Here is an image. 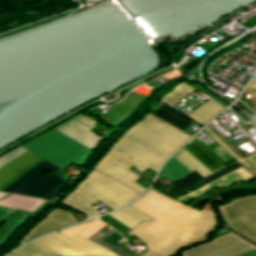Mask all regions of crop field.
<instances>
[{
    "label": "crop field",
    "mask_w": 256,
    "mask_h": 256,
    "mask_svg": "<svg viewBox=\"0 0 256 256\" xmlns=\"http://www.w3.org/2000/svg\"><path fill=\"white\" fill-rule=\"evenodd\" d=\"M191 137L149 114L123 134L94 169L141 195L146 189L134 184L138 177L128 168L133 165L142 172L148 167L157 172L163 162Z\"/></svg>",
    "instance_id": "crop-field-1"
},
{
    "label": "crop field",
    "mask_w": 256,
    "mask_h": 256,
    "mask_svg": "<svg viewBox=\"0 0 256 256\" xmlns=\"http://www.w3.org/2000/svg\"><path fill=\"white\" fill-rule=\"evenodd\" d=\"M131 205L153 219L127 232L146 245L148 251L138 256H170L200 239L215 224L212 213L185 206L153 190Z\"/></svg>",
    "instance_id": "crop-field-2"
},
{
    "label": "crop field",
    "mask_w": 256,
    "mask_h": 256,
    "mask_svg": "<svg viewBox=\"0 0 256 256\" xmlns=\"http://www.w3.org/2000/svg\"><path fill=\"white\" fill-rule=\"evenodd\" d=\"M43 161L44 160L27 151L2 167L0 169V191L38 166ZM47 170L59 171L61 169L45 161L24 175L22 178L8 186L2 192H10L40 198L53 197L58 194L67 183L54 174L49 178L46 177L42 173Z\"/></svg>",
    "instance_id": "crop-field-3"
},
{
    "label": "crop field",
    "mask_w": 256,
    "mask_h": 256,
    "mask_svg": "<svg viewBox=\"0 0 256 256\" xmlns=\"http://www.w3.org/2000/svg\"><path fill=\"white\" fill-rule=\"evenodd\" d=\"M140 195L94 170L62 203L82 211L88 218L99 215L89 206L99 200L113 210L130 203Z\"/></svg>",
    "instance_id": "crop-field-4"
},
{
    "label": "crop field",
    "mask_w": 256,
    "mask_h": 256,
    "mask_svg": "<svg viewBox=\"0 0 256 256\" xmlns=\"http://www.w3.org/2000/svg\"><path fill=\"white\" fill-rule=\"evenodd\" d=\"M22 147L61 169L70 162L82 166L91 154L89 149L54 130Z\"/></svg>",
    "instance_id": "crop-field-5"
},
{
    "label": "crop field",
    "mask_w": 256,
    "mask_h": 256,
    "mask_svg": "<svg viewBox=\"0 0 256 256\" xmlns=\"http://www.w3.org/2000/svg\"><path fill=\"white\" fill-rule=\"evenodd\" d=\"M184 148L187 149L191 154H193L213 172L218 171L223 167L235 162V160L232 158L222 163L196 139L193 140L189 145H186ZM185 149L174 157V160L176 162H178L190 172L195 170L203 178L213 173ZM172 159L169 160L167 164L163 167L160 173L161 176L169 179L170 181H173L180 179L179 176L183 177L184 175L190 173Z\"/></svg>",
    "instance_id": "crop-field-6"
},
{
    "label": "crop field",
    "mask_w": 256,
    "mask_h": 256,
    "mask_svg": "<svg viewBox=\"0 0 256 256\" xmlns=\"http://www.w3.org/2000/svg\"><path fill=\"white\" fill-rule=\"evenodd\" d=\"M31 244L58 256H117L111 251L77 235L69 240L54 233Z\"/></svg>",
    "instance_id": "crop-field-7"
},
{
    "label": "crop field",
    "mask_w": 256,
    "mask_h": 256,
    "mask_svg": "<svg viewBox=\"0 0 256 256\" xmlns=\"http://www.w3.org/2000/svg\"><path fill=\"white\" fill-rule=\"evenodd\" d=\"M74 223H76V221L72 218L70 213L62 210H53L44 220L35 226L29 234L26 235L20 244L23 245L48 232Z\"/></svg>",
    "instance_id": "crop-field-8"
},
{
    "label": "crop field",
    "mask_w": 256,
    "mask_h": 256,
    "mask_svg": "<svg viewBox=\"0 0 256 256\" xmlns=\"http://www.w3.org/2000/svg\"><path fill=\"white\" fill-rule=\"evenodd\" d=\"M54 129L91 150L103 139L73 118Z\"/></svg>",
    "instance_id": "crop-field-9"
},
{
    "label": "crop field",
    "mask_w": 256,
    "mask_h": 256,
    "mask_svg": "<svg viewBox=\"0 0 256 256\" xmlns=\"http://www.w3.org/2000/svg\"><path fill=\"white\" fill-rule=\"evenodd\" d=\"M223 109V107L208 99L186 116L205 125L210 119H212Z\"/></svg>",
    "instance_id": "crop-field-10"
},
{
    "label": "crop field",
    "mask_w": 256,
    "mask_h": 256,
    "mask_svg": "<svg viewBox=\"0 0 256 256\" xmlns=\"http://www.w3.org/2000/svg\"><path fill=\"white\" fill-rule=\"evenodd\" d=\"M97 219L89 222V223H85V224H81V225H78L74 228H71V229H67V230H64V231H61L59 232L60 234L68 237V238H72L73 236H75L77 233L85 230L87 227H89L92 223H94ZM106 224H104L103 222L101 221H97L95 222L93 225H91L89 228H87L85 231L77 234L83 238H88L89 236H91L92 234H94L95 232H97L98 230H100L102 227H104Z\"/></svg>",
    "instance_id": "crop-field-11"
},
{
    "label": "crop field",
    "mask_w": 256,
    "mask_h": 256,
    "mask_svg": "<svg viewBox=\"0 0 256 256\" xmlns=\"http://www.w3.org/2000/svg\"><path fill=\"white\" fill-rule=\"evenodd\" d=\"M191 87V86H190ZM189 86L181 83L177 87H175L174 91L167 96H165L161 102L165 103L169 107L175 106L179 101H181L184 97L195 91Z\"/></svg>",
    "instance_id": "crop-field-12"
},
{
    "label": "crop field",
    "mask_w": 256,
    "mask_h": 256,
    "mask_svg": "<svg viewBox=\"0 0 256 256\" xmlns=\"http://www.w3.org/2000/svg\"><path fill=\"white\" fill-rule=\"evenodd\" d=\"M200 180H202L201 176L195 172H192L188 176H186L178 181H173L172 183H173L174 189L167 192V194L169 196H171V195L199 182Z\"/></svg>",
    "instance_id": "crop-field-13"
},
{
    "label": "crop field",
    "mask_w": 256,
    "mask_h": 256,
    "mask_svg": "<svg viewBox=\"0 0 256 256\" xmlns=\"http://www.w3.org/2000/svg\"><path fill=\"white\" fill-rule=\"evenodd\" d=\"M10 256H56L51 254L47 251H44L40 248H37L31 244L23 247L22 249L16 251L15 253L11 254Z\"/></svg>",
    "instance_id": "crop-field-14"
},
{
    "label": "crop field",
    "mask_w": 256,
    "mask_h": 256,
    "mask_svg": "<svg viewBox=\"0 0 256 256\" xmlns=\"http://www.w3.org/2000/svg\"><path fill=\"white\" fill-rule=\"evenodd\" d=\"M240 167H242V166L239 165L236 162V163H234V164H232V165H230V166H228V167H226V168H224V169H222V170H220V171H218V172H216V173L206 177L205 180H202L200 182H202L203 184L206 185V184L214 181L215 179H217V178H219V177H221V176H223V175H225V174H227L229 172H232V171H234V170H236V169H238Z\"/></svg>",
    "instance_id": "crop-field-15"
},
{
    "label": "crop field",
    "mask_w": 256,
    "mask_h": 256,
    "mask_svg": "<svg viewBox=\"0 0 256 256\" xmlns=\"http://www.w3.org/2000/svg\"><path fill=\"white\" fill-rule=\"evenodd\" d=\"M156 116L168 121L169 123L175 125L176 127L180 128L181 130L187 125L185 122H183L181 119L171 115L170 113L160 110Z\"/></svg>",
    "instance_id": "crop-field-16"
},
{
    "label": "crop field",
    "mask_w": 256,
    "mask_h": 256,
    "mask_svg": "<svg viewBox=\"0 0 256 256\" xmlns=\"http://www.w3.org/2000/svg\"><path fill=\"white\" fill-rule=\"evenodd\" d=\"M109 215L130 229L133 228L138 223V222L134 221L133 219L129 218L128 216H126L125 214H123L119 210H117Z\"/></svg>",
    "instance_id": "crop-field-17"
},
{
    "label": "crop field",
    "mask_w": 256,
    "mask_h": 256,
    "mask_svg": "<svg viewBox=\"0 0 256 256\" xmlns=\"http://www.w3.org/2000/svg\"><path fill=\"white\" fill-rule=\"evenodd\" d=\"M101 220L106 222L107 224H109L111 227H113L115 230H117L122 235L130 230L127 227H125L124 225H122L121 223H119L118 221H116L115 219L108 216V215L104 216Z\"/></svg>",
    "instance_id": "crop-field-18"
},
{
    "label": "crop field",
    "mask_w": 256,
    "mask_h": 256,
    "mask_svg": "<svg viewBox=\"0 0 256 256\" xmlns=\"http://www.w3.org/2000/svg\"><path fill=\"white\" fill-rule=\"evenodd\" d=\"M202 186H204L202 183H197V184H195V185H193V186H191V187H189V188H187V189H185V190H183V191H181V192H179V193H177V194H175V195H173V196H171V197H173V198H175V199H177V198H179V197H181V196H183V195H185V194H187V193H189V192H192V191H194V190H196V189H198V188H200V187H202ZM170 197V198H171ZM172 198V199H173ZM174 199V200H175Z\"/></svg>",
    "instance_id": "crop-field-19"
},
{
    "label": "crop field",
    "mask_w": 256,
    "mask_h": 256,
    "mask_svg": "<svg viewBox=\"0 0 256 256\" xmlns=\"http://www.w3.org/2000/svg\"><path fill=\"white\" fill-rule=\"evenodd\" d=\"M75 119H77V120H79V121L85 123L86 125H88V126H90V127H92V128L98 124V123H96V122L90 120L89 118H87V117L81 115V114L75 116Z\"/></svg>",
    "instance_id": "crop-field-20"
},
{
    "label": "crop field",
    "mask_w": 256,
    "mask_h": 256,
    "mask_svg": "<svg viewBox=\"0 0 256 256\" xmlns=\"http://www.w3.org/2000/svg\"><path fill=\"white\" fill-rule=\"evenodd\" d=\"M13 209L0 207V223L12 212Z\"/></svg>",
    "instance_id": "crop-field-21"
},
{
    "label": "crop field",
    "mask_w": 256,
    "mask_h": 256,
    "mask_svg": "<svg viewBox=\"0 0 256 256\" xmlns=\"http://www.w3.org/2000/svg\"><path fill=\"white\" fill-rule=\"evenodd\" d=\"M162 109H164V110H166V111H168V112H170V113H172V114L182 118L183 120H185L187 122L190 121V119L186 118L185 116L181 115L180 113H178V112H176V111H174V110H172V109H170V108H168L166 106H164Z\"/></svg>",
    "instance_id": "crop-field-22"
},
{
    "label": "crop field",
    "mask_w": 256,
    "mask_h": 256,
    "mask_svg": "<svg viewBox=\"0 0 256 256\" xmlns=\"http://www.w3.org/2000/svg\"><path fill=\"white\" fill-rule=\"evenodd\" d=\"M242 256H256V250L255 251H252V252H249L247 254H244Z\"/></svg>",
    "instance_id": "crop-field-23"
}]
</instances>
